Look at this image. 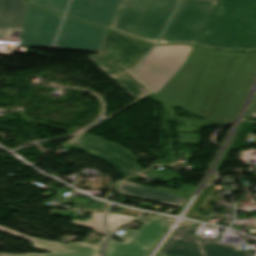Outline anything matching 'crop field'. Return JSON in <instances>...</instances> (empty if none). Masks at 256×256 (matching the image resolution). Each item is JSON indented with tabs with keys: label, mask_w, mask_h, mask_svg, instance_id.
<instances>
[{
	"label": "crop field",
	"mask_w": 256,
	"mask_h": 256,
	"mask_svg": "<svg viewBox=\"0 0 256 256\" xmlns=\"http://www.w3.org/2000/svg\"><path fill=\"white\" fill-rule=\"evenodd\" d=\"M256 68V53L193 48L186 64L155 96L215 123L238 113Z\"/></svg>",
	"instance_id": "1"
},
{
	"label": "crop field",
	"mask_w": 256,
	"mask_h": 256,
	"mask_svg": "<svg viewBox=\"0 0 256 256\" xmlns=\"http://www.w3.org/2000/svg\"><path fill=\"white\" fill-rule=\"evenodd\" d=\"M196 45L255 51L256 0H220Z\"/></svg>",
	"instance_id": "2"
},
{
	"label": "crop field",
	"mask_w": 256,
	"mask_h": 256,
	"mask_svg": "<svg viewBox=\"0 0 256 256\" xmlns=\"http://www.w3.org/2000/svg\"><path fill=\"white\" fill-rule=\"evenodd\" d=\"M179 0H120L110 29L155 44Z\"/></svg>",
	"instance_id": "3"
},
{
	"label": "crop field",
	"mask_w": 256,
	"mask_h": 256,
	"mask_svg": "<svg viewBox=\"0 0 256 256\" xmlns=\"http://www.w3.org/2000/svg\"><path fill=\"white\" fill-rule=\"evenodd\" d=\"M151 47L152 45L109 31L101 53L89 58L136 99L148 90L128 73Z\"/></svg>",
	"instance_id": "4"
},
{
	"label": "crop field",
	"mask_w": 256,
	"mask_h": 256,
	"mask_svg": "<svg viewBox=\"0 0 256 256\" xmlns=\"http://www.w3.org/2000/svg\"><path fill=\"white\" fill-rule=\"evenodd\" d=\"M218 1L182 0L158 44L195 45Z\"/></svg>",
	"instance_id": "5"
},
{
	"label": "crop field",
	"mask_w": 256,
	"mask_h": 256,
	"mask_svg": "<svg viewBox=\"0 0 256 256\" xmlns=\"http://www.w3.org/2000/svg\"><path fill=\"white\" fill-rule=\"evenodd\" d=\"M193 46L155 47L134 72L155 96L185 64Z\"/></svg>",
	"instance_id": "6"
},
{
	"label": "crop field",
	"mask_w": 256,
	"mask_h": 256,
	"mask_svg": "<svg viewBox=\"0 0 256 256\" xmlns=\"http://www.w3.org/2000/svg\"><path fill=\"white\" fill-rule=\"evenodd\" d=\"M136 221L143 224L138 230L128 229L120 236L110 235L104 256H146L167 227V221L157 216H142ZM112 236L125 242H117Z\"/></svg>",
	"instance_id": "7"
},
{
	"label": "crop field",
	"mask_w": 256,
	"mask_h": 256,
	"mask_svg": "<svg viewBox=\"0 0 256 256\" xmlns=\"http://www.w3.org/2000/svg\"><path fill=\"white\" fill-rule=\"evenodd\" d=\"M62 147L84 152L110 164L124 178L142 171L134 162L129 150L85 133L74 138Z\"/></svg>",
	"instance_id": "8"
},
{
	"label": "crop field",
	"mask_w": 256,
	"mask_h": 256,
	"mask_svg": "<svg viewBox=\"0 0 256 256\" xmlns=\"http://www.w3.org/2000/svg\"><path fill=\"white\" fill-rule=\"evenodd\" d=\"M193 226L177 229L159 254L174 256H204L199 239L189 236ZM207 256H250V250L243 251L236 246L201 240Z\"/></svg>",
	"instance_id": "9"
},
{
	"label": "crop field",
	"mask_w": 256,
	"mask_h": 256,
	"mask_svg": "<svg viewBox=\"0 0 256 256\" xmlns=\"http://www.w3.org/2000/svg\"><path fill=\"white\" fill-rule=\"evenodd\" d=\"M107 32L66 17L54 48L100 52Z\"/></svg>",
	"instance_id": "10"
},
{
	"label": "crop field",
	"mask_w": 256,
	"mask_h": 256,
	"mask_svg": "<svg viewBox=\"0 0 256 256\" xmlns=\"http://www.w3.org/2000/svg\"><path fill=\"white\" fill-rule=\"evenodd\" d=\"M62 18L28 5L22 46L51 48Z\"/></svg>",
	"instance_id": "11"
},
{
	"label": "crop field",
	"mask_w": 256,
	"mask_h": 256,
	"mask_svg": "<svg viewBox=\"0 0 256 256\" xmlns=\"http://www.w3.org/2000/svg\"><path fill=\"white\" fill-rule=\"evenodd\" d=\"M0 230L28 240L30 243L33 244L35 249H41V250L53 252V254H22V255H13L10 253H4V254H0V256H98L103 243V240H102L97 246H91V245H87L79 242L72 243V244H59V243H54V242H49V241L28 237L3 227H0Z\"/></svg>",
	"instance_id": "12"
},
{
	"label": "crop field",
	"mask_w": 256,
	"mask_h": 256,
	"mask_svg": "<svg viewBox=\"0 0 256 256\" xmlns=\"http://www.w3.org/2000/svg\"><path fill=\"white\" fill-rule=\"evenodd\" d=\"M119 0H72L69 14L77 19L109 27Z\"/></svg>",
	"instance_id": "13"
},
{
	"label": "crop field",
	"mask_w": 256,
	"mask_h": 256,
	"mask_svg": "<svg viewBox=\"0 0 256 256\" xmlns=\"http://www.w3.org/2000/svg\"><path fill=\"white\" fill-rule=\"evenodd\" d=\"M27 4L23 0H0V38L23 33Z\"/></svg>",
	"instance_id": "14"
},
{
	"label": "crop field",
	"mask_w": 256,
	"mask_h": 256,
	"mask_svg": "<svg viewBox=\"0 0 256 256\" xmlns=\"http://www.w3.org/2000/svg\"><path fill=\"white\" fill-rule=\"evenodd\" d=\"M115 190L118 194L121 195L169 204L178 207H181L187 200L186 198L176 196L170 192H164L126 180L116 184Z\"/></svg>",
	"instance_id": "15"
},
{
	"label": "crop field",
	"mask_w": 256,
	"mask_h": 256,
	"mask_svg": "<svg viewBox=\"0 0 256 256\" xmlns=\"http://www.w3.org/2000/svg\"><path fill=\"white\" fill-rule=\"evenodd\" d=\"M69 0H29L28 2L55 12L64 13Z\"/></svg>",
	"instance_id": "16"
},
{
	"label": "crop field",
	"mask_w": 256,
	"mask_h": 256,
	"mask_svg": "<svg viewBox=\"0 0 256 256\" xmlns=\"http://www.w3.org/2000/svg\"><path fill=\"white\" fill-rule=\"evenodd\" d=\"M104 213H91L92 219H88L85 222L72 220V224L75 226L86 227L95 230L104 231L102 228L101 220Z\"/></svg>",
	"instance_id": "17"
},
{
	"label": "crop field",
	"mask_w": 256,
	"mask_h": 256,
	"mask_svg": "<svg viewBox=\"0 0 256 256\" xmlns=\"http://www.w3.org/2000/svg\"><path fill=\"white\" fill-rule=\"evenodd\" d=\"M135 218L136 217L109 213L106 218L108 230H109V232H112L119 226L124 225V224L132 221Z\"/></svg>",
	"instance_id": "18"
},
{
	"label": "crop field",
	"mask_w": 256,
	"mask_h": 256,
	"mask_svg": "<svg viewBox=\"0 0 256 256\" xmlns=\"http://www.w3.org/2000/svg\"><path fill=\"white\" fill-rule=\"evenodd\" d=\"M94 202H95L94 200H87L83 198H74V197H70L64 201V203L74 204L75 205L74 210H88Z\"/></svg>",
	"instance_id": "19"
},
{
	"label": "crop field",
	"mask_w": 256,
	"mask_h": 256,
	"mask_svg": "<svg viewBox=\"0 0 256 256\" xmlns=\"http://www.w3.org/2000/svg\"><path fill=\"white\" fill-rule=\"evenodd\" d=\"M159 189L167 190V191H170V192H174V193H177V194H181V195L190 197V195L192 194V192L194 191L195 188L190 186V185H185L182 188L177 189V190L162 188V187H159Z\"/></svg>",
	"instance_id": "20"
},
{
	"label": "crop field",
	"mask_w": 256,
	"mask_h": 256,
	"mask_svg": "<svg viewBox=\"0 0 256 256\" xmlns=\"http://www.w3.org/2000/svg\"><path fill=\"white\" fill-rule=\"evenodd\" d=\"M245 116L250 117V118H256V108L255 109H248Z\"/></svg>",
	"instance_id": "21"
},
{
	"label": "crop field",
	"mask_w": 256,
	"mask_h": 256,
	"mask_svg": "<svg viewBox=\"0 0 256 256\" xmlns=\"http://www.w3.org/2000/svg\"><path fill=\"white\" fill-rule=\"evenodd\" d=\"M256 107V95L254 97V100L249 108H255Z\"/></svg>",
	"instance_id": "22"
},
{
	"label": "crop field",
	"mask_w": 256,
	"mask_h": 256,
	"mask_svg": "<svg viewBox=\"0 0 256 256\" xmlns=\"http://www.w3.org/2000/svg\"><path fill=\"white\" fill-rule=\"evenodd\" d=\"M160 256H168V255H160Z\"/></svg>",
	"instance_id": "23"
},
{
	"label": "crop field",
	"mask_w": 256,
	"mask_h": 256,
	"mask_svg": "<svg viewBox=\"0 0 256 256\" xmlns=\"http://www.w3.org/2000/svg\"><path fill=\"white\" fill-rule=\"evenodd\" d=\"M202 245V244H201ZM205 253V252H204ZM206 256V255H205Z\"/></svg>",
	"instance_id": "24"
},
{
	"label": "crop field",
	"mask_w": 256,
	"mask_h": 256,
	"mask_svg": "<svg viewBox=\"0 0 256 256\" xmlns=\"http://www.w3.org/2000/svg\"><path fill=\"white\" fill-rule=\"evenodd\" d=\"M27 1V0H26Z\"/></svg>",
	"instance_id": "25"
}]
</instances>
